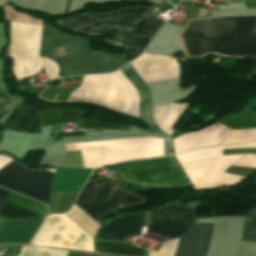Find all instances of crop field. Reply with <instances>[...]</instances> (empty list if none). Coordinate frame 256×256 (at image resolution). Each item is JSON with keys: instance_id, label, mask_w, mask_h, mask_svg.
I'll return each instance as SVG.
<instances>
[{"instance_id": "4a817a6b", "label": "crop field", "mask_w": 256, "mask_h": 256, "mask_svg": "<svg viewBox=\"0 0 256 256\" xmlns=\"http://www.w3.org/2000/svg\"><path fill=\"white\" fill-rule=\"evenodd\" d=\"M42 219L28 221L3 219L0 229V243H29Z\"/></svg>"}, {"instance_id": "00972430", "label": "crop field", "mask_w": 256, "mask_h": 256, "mask_svg": "<svg viewBox=\"0 0 256 256\" xmlns=\"http://www.w3.org/2000/svg\"><path fill=\"white\" fill-rule=\"evenodd\" d=\"M256 140V129L231 130L221 144Z\"/></svg>"}, {"instance_id": "214f88e0", "label": "crop field", "mask_w": 256, "mask_h": 256, "mask_svg": "<svg viewBox=\"0 0 256 256\" xmlns=\"http://www.w3.org/2000/svg\"><path fill=\"white\" fill-rule=\"evenodd\" d=\"M187 104L188 103L154 106L153 118L155 123L170 135L177 119L182 114Z\"/></svg>"}, {"instance_id": "120bbe31", "label": "crop field", "mask_w": 256, "mask_h": 256, "mask_svg": "<svg viewBox=\"0 0 256 256\" xmlns=\"http://www.w3.org/2000/svg\"><path fill=\"white\" fill-rule=\"evenodd\" d=\"M246 8H256V0H243Z\"/></svg>"}, {"instance_id": "5a996713", "label": "crop field", "mask_w": 256, "mask_h": 256, "mask_svg": "<svg viewBox=\"0 0 256 256\" xmlns=\"http://www.w3.org/2000/svg\"><path fill=\"white\" fill-rule=\"evenodd\" d=\"M144 201L114 183H94L85 184L74 204L98 223L107 215V208H122Z\"/></svg>"}, {"instance_id": "34b2d1b8", "label": "crop field", "mask_w": 256, "mask_h": 256, "mask_svg": "<svg viewBox=\"0 0 256 256\" xmlns=\"http://www.w3.org/2000/svg\"><path fill=\"white\" fill-rule=\"evenodd\" d=\"M124 68L143 91L144 112L141 89L123 68L111 74L83 76L80 86L72 91L70 96L97 98L141 114L143 112L145 121L151 130L162 132L156 127L151 117L149 89L130 65L127 64Z\"/></svg>"}, {"instance_id": "750c4746", "label": "crop field", "mask_w": 256, "mask_h": 256, "mask_svg": "<svg viewBox=\"0 0 256 256\" xmlns=\"http://www.w3.org/2000/svg\"><path fill=\"white\" fill-rule=\"evenodd\" d=\"M12 107L10 104L6 101V99L2 96L0 93V118L11 109Z\"/></svg>"}, {"instance_id": "d9b57169", "label": "crop field", "mask_w": 256, "mask_h": 256, "mask_svg": "<svg viewBox=\"0 0 256 256\" xmlns=\"http://www.w3.org/2000/svg\"><path fill=\"white\" fill-rule=\"evenodd\" d=\"M46 206L13 193L1 206L0 216L9 219L27 220L42 217Z\"/></svg>"}, {"instance_id": "92a150f3", "label": "crop field", "mask_w": 256, "mask_h": 256, "mask_svg": "<svg viewBox=\"0 0 256 256\" xmlns=\"http://www.w3.org/2000/svg\"><path fill=\"white\" fill-rule=\"evenodd\" d=\"M94 252L120 254L129 256H148V250L138 248L127 242H115L93 239Z\"/></svg>"}, {"instance_id": "730fd06b", "label": "crop field", "mask_w": 256, "mask_h": 256, "mask_svg": "<svg viewBox=\"0 0 256 256\" xmlns=\"http://www.w3.org/2000/svg\"><path fill=\"white\" fill-rule=\"evenodd\" d=\"M81 128H98V129H110V130H124L129 131V126L118 124H104L96 120L83 119L77 123Z\"/></svg>"}, {"instance_id": "4177f3b9", "label": "crop field", "mask_w": 256, "mask_h": 256, "mask_svg": "<svg viewBox=\"0 0 256 256\" xmlns=\"http://www.w3.org/2000/svg\"><path fill=\"white\" fill-rule=\"evenodd\" d=\"M244 220L256 221V209ZM243 221L242 240L256 242V222Z\"/></svg>"}, {"instance_id": "bd1437ed", "label": "crop field", "mask_w": 256, "mask_h": 256, "mask_svg": "<svg viewBox=\"0 0 256 256\" xmlns=\"http://www.w3.org/2000/svg\"><path fill=\"white\" fill-rule=\"evenodd\" d=\"M68 256H108V255H98V254H89V253L69 251Z\"/></svg>"}, {"instance_id": "cbeb9de0", "label": "crop field", "mask_w": 256, "mask_h": 256, "mask_svg": "<svg viewBox=\"0 0 256 256\" xmlns=\"http://www.w3.org/2000/svg\"><path fill=\"white\" fill-rule=\"evenodd\" d=\"M142 226L144 214L121 215L103 224L95 237L127 241L128 237L140 236Z\"/></svg>"}, {"instance_id": "dd49c442", "label": "crop field", "mask_w": 256, "mask_h": 256, "mask_svg": "<svg viewBox=\"0 0 256 256\" xmlns=\"http://www.w3.org/2000/svg\"><path fill=\"white\" fill-rule=\"evenodd\" d=\"M156 143H163V141L151 137H144L86 144H66V150ZM160 156H164L163 144L89 149L87 152L85 168H94L95 166L116 163L125 160Z\"/></svg>"}, {"instance_id": "ae1a2a85", "label": "crop field", "mask_w": 256, "mask_h": 256, "mask_svg": "<svg viewBox=\"0 0 256 256\" xmlns=\"http://www.w3.org/2000/svg\"><path fill=\"white\" fill-rule=\"evenodd\" d=\"M42 59H43L44 68L49 77V80L57 79L58 78L57 65L46 58H42Z\"/></svg>"}, {"instance_id": "d3111659", "label": "crop field", "mask_w": 256, "mask_h": 256, "mask_svg": "<svg viewBox=\"0 0 256 256\" xmlns=\"http://www.w3.org/2000/svg\"><path fill=\"white\" fill-rule=\"evenodd\" d=\"M235 165L238 166H250L256 167V155H245L239 162Z\"/></svg>"}, {"instance_id": "a9b5d70f", "label": "crop field", "mask_w": 256, "mask_h": 256, "mask_svg": "<svg viewBox=\"0 0 256 256\" xmlns=\"http://www.w3.org/2000/svg\"><path fill=\"white\" fill-rule=\"evenodd\" d=\"M68 251L24 246L18 256H67Z\"/></svg>"}, {"instance_id": "f4fd0767", "label": "crop field", "mask_w": 256, "mask_h": 256, "mask_svg": "<svg viewBox=\"0 0 256 256\" xmlns=\"http://www.w3.org/2000/svg\"><path fill=\"white\" fill-rule=\"evenodd\" d=\"M40 55L56 61L62 77L105 73L124 65L119 57L87 51L85 43L75 38L42 41Z\"/></svg>"}, {"instance_id": "d1516ede", "label": "crop field", "mask_w": 256, "mask_h": 256, "mask_svg": "<svg viewBox=\"0 0 256 256\" xmlns=\"http://www.w3.org/2000/svg\"><path fill=\"white\" fill-rule=\"evenodd\" d=\"M194 216L193 210L165 204L146 212L147 230L171 238L180 237L193 226Z\"/></svg>"}, {"instance_id": "22f410ed", "label": "crop field", "mask_w": 256, "mask_h": 256, "mask_svg": "<svg viewBox=\"0 0 256 256\" xmlns=\"http://www.w3.org/2000/svg\"><path fill=\"white\" fill-rule=\"evenodd\" d=\"M132 65L146 83L179 77L174 58L143 53Z\"/></svg>"}, {"instance_id": "1d83c4d3", "label": "crop field", "mask_w": 256, "mask_h": 256, "mask_svg": "<svg viewBox=\"0 0 256 256\" xmlns=\"http://www.w3.org/2000/svg\"><path fill=\"white\" fill-rule=\"evenodd\" d=\"M11 191L0 188V204L8 197Z\"/></svg>"}, {"instance_id": "dafd665d", "label": "crop field", "mask_w": 256, "mask_h": 256, "mask_svg": "<svg viewBox=\"0 0 256 256\" xmlns=\"http://www.w3.org/2000/svg\"><path fill=\"white\" fill-rule=\"evenodd\" d=\"M80 111V110H79ZM75 109L71 110H60V109H50L41 112V121L43 128L54 123L63 122H75L77 123L81 120L84 115Z\"/></svg>"}, {"instance_id": "d8731c3e", "label": "crop field", "mask_w": 256, "mask_h": 256, "mask_svg": "<svg viewBox=\"0 0 256 256\" xmlns=\"http://www.w3.org/2000/svg\"><path fill=\"white\" fill-rule=\"evenodd\" d=\"M42 26L10 22L8 54L13 59V72L17 80L41 70L38 55Z\"/></svg>"}, {"instance_id": "8a807250", "label": "crop field", "mask_w": 256, "mask_h": 256, "mask_svg": "<svg viewBox=\"0 0 256 256\" xmlns=\"http://www.w3.org/2000/svg\"><path fill=\"white\" fill-rule=\"evenodd\" d=\"M181 42L189 58L209 53L256 58V16L189 20Z\"/></svg>"}, {"instance_id": "412701ff", "label": "crop field", "mask_w": 256, "mask_h": 256, "mask_svg": "<svg viewBox=\"0 0 256 256\" xmlns=\"http://www.w3.org/2000/svg\"><path fill=\"white\" fill-rule=\"evenodd\" d=\"M256 142L209 147L175 155L195 190L234 184L240 176L223 173V170L235 163L241 155L222 156V149L254 148Z\"/></svg>"}, {"instance_id": "bc2a9ffb", "label": "crop field", "mask_w": 256, "mask_h": 256, "mask_svg": "<svg viewBox=\"0 0 256 256\" xmlns=\"http://www.w3.org/2000/svg\"><path fill=\"white\" fill-rule=\"evenodd\" d=\"M2 129H10L28 133L41 132L38 112L28 105L18 104L1 125Z\"/></svg>"}, {"instance_id": "ac0d7876", "label": "crop field", "mask_w": 256, "mask_h": 256, "mask_svg": "<svg viewBox=\"0 0 256 256\" xmlns=\"http://www.w3.org/2000/svg\"><path fill=\"white\" fill-rule=\"evenodd\" d=\"M164 22L156 19L150 8H124L99 16L83 14L58 24L88 35L119 36L113 45L126 48L124 58L129 62L143 51Z\"/></svg>"}, {"instance_id": "e52e79f7", "label": "crop field", "mask_w": 256, "mask_h": 256, "mask_svg": "<svg viewBox=\"0 0 256 256\" xmlns=\"http://www.w3.org/2000/svg\"><path fill=\"white\" fill-rule=\"evenodd\" d=\"M120 176L177 168L173 156L140 161H129L114 165ZM127 182L156 187H181L190 185L181 168L120 177ZM133 183V184H134Z\"/></svg>"}, {"instance_id": "5142ce71", "label": "crop field", "mask_w": 256, "mask_h": 256, "mask_svg": "<svg viewBox=\"0 0 256 256\" xmlns=\"http://www.w3.org/2000/svg\"><path fill=\"white\" fill-rule=\"evenodd\" d=\"M213 223L196 224L179 240L175 256H205Z\"/></svg>"}, {"instance_id": "733c2abd", "label": "crop field", "mask_w": 256, "mask_h": 256, "mask_svg": "<svg viewBox=\"0 0 256 256\" xmlns=\"http://www.w3.org/2000/svg\"><path fill=\"white\" fill-rule=\"evenodd\" d=\"M229 128L216 123L199 132L184 134L174 139L175 153L218 144Z\"/></svg>"}, {"instance_id": "eef30255", "label": "crop field", "mask_w": 256, "mask_h": 256, "mask_svg": "<svg viewBox=\"0 0 256 256\" xmlns=\"http://www.w3.org/2000/svg\"><path fill=\"white\" fill-rule=\"evenodd\" d=\"M6 11V19L13 21H23V22H31V23H39L42 24V21L32 20L30 16L25 13L15 12L10 6L3 7Z\"/></svg>"}, {"instance_id": "28ad6ade", "label": "crop field", "mask_w": 256, "mask_h": 256, "mask_svg": "<svg viewBox=\"0 0 256 256\" xmlns=\"http://www.w3.org/2000/svg\"><path fill=\"white\" fill-rule=\"evenodd\" d=\"M55 170L27 171L10 158L0 155V186L37 198L48 204Z\"/></svg>"}, {"instance_id": "3316defc", "label": "crop field", "mask_w": 256, "mask_h": 256, "mask_svg": "<svg viewBox=\"0 0 256 256\" xmlns=\"http://www.w3.org/2000/svg\"><path fill=\"white\" fill-rule=\"evenodd\" d=\"M30 245L93 252L92 238L64 214L48 216Z\"/></svg>"}]
</instances>
